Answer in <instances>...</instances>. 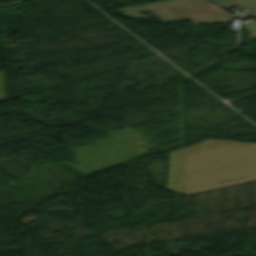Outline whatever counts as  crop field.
<instances>
[{"label":"crop field","instance_id":"crop-field-2","mask_svg":"<svg viewBox=\"0 0 256 256\" xmlns=\"http://www.w3.org/2000/svg\"><path fill=\"white\" fill-rule=\"evenodd\" d=\"M120 10L124 16L134 19L156 16L164 24L189 20L195 26L199 23L228 22L235 18L203 0H175ZM146 11L154 15H141Z\"/></svg>","mask_w":256,"mask_h":256},{"label":"crop field","instance_id":"crop-field-4","mask_svg":"<svg viewBox=\"0 0 256 256\" xmlns=\"http://www.w3.org/2000/svg\"><path fill=\"white\" fill-rule=\"evenodd\" d=\"M249 16H252V17L256 18V11L252 12L251 14H249V15L243 17V18L245 19V18H247V17H249ZM255 23H256V22H255Z\"/></svg>","mask_w":256,"mask_h":256},{"label":"crop field","instance_id":"crop-field-1","mask_svg":"<svg viewBox=\"0 0 256 256\" xmlns=\"http://www.w3.org/2000/svg\"><path fill=\"white\" fill-rule=\"evenodd\" d=\"M256 180V144L208 139L169 153L166 189L192 195Z\"/></svg>","mask_w":256,"mask_h":256},{"label":"crop field","instance_id":"crop-field-3","mask_svg":"<svg viewBox=\"0 0 256 256\" xmlns=\"http://www.w3.org/2000/svg\"><path fill=\"white\" fill-rule=\"evenodd\" d=\"M250 32L251 37H256V25H247V29Z\"/></svg>","mask_w":256,"mask_h":256}]
</instances>
